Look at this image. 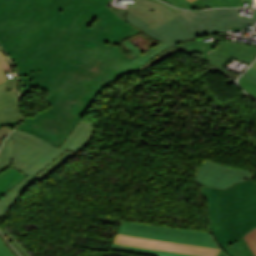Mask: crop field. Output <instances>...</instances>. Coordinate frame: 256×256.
<instances>
[{
	"label": "crop field",
	"mask_w": 256,
	"mask_h": 256,
	"mask_svg": "<svg viewBox=\"0 0 256 256\" xmlns=\"http://www.w3.org/2000/svg\"><path fill=\"white\" fill-rule=\"evenodd\" d=\"M153 1H155V2H157V3H161V4H163V5H165L166 7H168L169 9H171V10H173V11H181V10H176V9H174L173 7H171V6H169V5H167V4H165V3H162V2H160V1H157V0H153Z\"/></svg>",
	"instance_id": "obj_25"
},
{
	"label": "crop field",
	"mask_w": 256,
	"mask_h": 256,
	"mask_svg": "<svg viewBox=\"0 0 256 256\" xmlns=\"http://www.w3.org/2000/svg\"><path fill=\"white\" fill-rule=\"evenodd\" d=\"M3 63H4V54L2 51H0V83L6 81L3 71H2Z\"/></svg>",
	"instance_id": "obj_21"
},
{
	"label": "crop field",
	"mask_w": 256,
	"mask_h": 256,
	"mask_svg": "<svg viewBox=\"0 0 256 256\" xmlns=\"http://www.w3.org/2000/svg\"><path fill=\"white\" fill-rule=\"evenodd\" d=\"M108 2L0 0V46L20 77V98L32 88L51 93L50 108L17 129L60 147L105 87L142 66L118 50L141 31Z\"/></svg>",
	"instance_id": "obj_1"
},
{
	"label": "crop field",
	"mask_w": 256,
	"mask_h": 256,
	"mask_svg": "<svg viewBox=\"0 0 256 256\" xmlns=\"http://www.w3.org/2000/svg\"><path fill=\"white\" fill-rule=\"evenodd\" d=\"M189 1H193V0H189Z\"/></svg>",
	"instance_id": "obj_28"
},
{
	"label": "crop field",
	"mask_w": 256,
	"mask_h": 256,
	"mask_svg": "<svg viewBox=\"0 0 256 256\" xmlns=\"http://www.w3.org/2000/svg\"><path fill=\"white\" fill-rule=\"evenodd\" d=\"M94 135L92 122L80 121L60 148L24 131L15 129L0 150V172L10 166L29 177L0 199V217L7 214L19 195L37 180L43 181L76 151L86 146Z\"/></svg>",
	"instance_id": "obj_2"
},
{
	"label": "crop field",
	"mask_w": 256,
	"mask_h": 256,
	"mask_svg": "<svg viewBox=\"0 0 256 256\" xmlns=\"http://www.w3.org/2000/svg\"><path fill=\"white\" fill-rule=\"evenodd\" d=\"M251 67L256 69V61L254 62V64Z\"/></svg>",
	"instance_id": "obj_27"
},
{
	"label": "crop field",
	"mask_w": 256,
	"mask_h": 256,
	"mask_svg": "<svg viewBox=\"0 0 256 256\" xmlns=\"http://www.w3.org/2000/svg\"><path fill=\"white\" fill-rule=\"evenodd\" d=\"M1 232L5 235V237L9 240V242L14 246V248L19 252L21 256H31L8 229L4 231L1 230Z\"/></svg>",
	"instance_id": "obj_15"
},
{
	"label": "crop field",
	"mask_w": 256,
	"mask_h": 256,
	"mask_svg": "<svg viewBox=\"0 0 256 256\" xmlns=\"http://www.w3.org/2000/svg\"><path fill=\"white\" fill-rule=\"evenodd\" d=\"M211 65V64H210ZM213 66V65H212ZM215 68H217L218 70H220L221 72H223L225 75H227L228 77H230L231 79L235 80L238 75L224 69V68H221V67H217V66H214Z\"/></svg>",
	"instance_id": "obj_23"
},
{
	"label": "crop field",
	"mask_w": 256,
	"mask_h": 256,
	"mask_svg": "<svg viewBox=\"0 0 256 256\" xmlns=\"http://www.w3.org/2000/svg\"><path fill=\"white\" fill-rule=\"evenodd\" d=\"M244 238L246 239L251 250L256 254V229L249 232L246 236H244Z\"/></svg>",
	"instance_id": "obj_18"
},
{
	"label": "crop field",
	"mask_w": 256,
	"mask_h": 256,
	"mask_svg": "<svg viewBox=\"0 0 256 256\" xmlns=\"http://www.w3.org/2000/svg\"><path fill=\"white\" fill-rule=\"evenodd\" d=\"M11 129L12 128H10V127L0 128V143L11 132Z\"/></svg>",
	"instance_id": "obj_22"
},
{
	"label": "crop field",
	"mask_w": 256,
	"mask_h": 256,
	"mask_svg": "<svg viewBox=\"0 0 256 256\" xmlns=\"http://www.w3.org/2000/svg\"><path fill=\"white\" fill-rule=\"evenodd\" d=\"M117 233L219 249L208 233L122 221Z\"/></svg>",
	"instance_id": "obj_5"
},
{
	"label": "crop field",
	"mask_w": 256,
	"mask_h": 256,
	"mask_svg": "<svg viewBox=\"0 0 256 256\" xmlns=\"http://www.w3.org/2000/svg\"><path fill=\"white\" fill-rule=\"evenodd\" d=\"M194 2L197 3L199 6H203L206 8L243 6L242 0H195Z\"/></svg>",
	"instance_id": "obj_14"
},
{
	"label": "crop field",
	"mask_w": 256,
	"mask_h": 256,
	"mask_svg": "<svg viewBox=\"0 0 256 256\" xmlns=\"http://www.w3.org/2000/svg\"><path fill=\"white\" fill-rule=\"evenodd\" d=\"M243 77L249 79L250 81H252L253 83L256 84V70L253 68H249L246 73L243 75Z\"/></svg>",
	"instance_id": "obj_20"
},
{
	"label": "crop field",
	"mask_w": 256,
	"mask_h": 256,
	"mask_svg": "<svg viewBox=\"0 0 256 256\" xmlns=\"http://www.w3.org/2000/svg\"><path fill=\"white\" fill-rule=\"evenodd\" d=\"M18 81L9 80L0 84V123L21 118L17 102Z\"/></svg>",
	"instance_id": "obj_10"
},
{
	"label": "crop field",
	"mask_w": 256,
	"mask_h": 256,
	"mask_svg": "<svg viewBox=\"0 0 256 256\" xmlns=\"http://www.w3.org/2000/svg\"><path fill=\"white\" fill-rule=\"evenodd\" d=\"M26 177L28 176L12 167L2 171L0 173V198Z\"/></svg>",
	"instance_id": "obj_11"
},
{
	"label": "crop field",
	"mask_w": 256,
	"mask_h": 256,
	"mask_svg": "<svg viewBox=\"0 0 256 256\" xmlns=\"http://www.w3.org/2000/svg\"><path fill=\"white\" fill-rule=\"evenodd\" d=\"M110 250L113 251H121V252H130L142 255H149V256H194L176 252H169L163 250H156V249H149L143 247H136V246H128V245H119V244H112Z\"/></svg>",
	"instance_id": "obj_12"
},
{
	"label": "crop field",
	"mask_w": 256,
	"mask_h": 256,
	"mask_svg": "<svg viewBox=\"0 0 256 256\" xmlns=\"http://www.w3.org/2000/svg\"><path fill=\"white\" fill-rule=\"evenodd\" d=\"M239 84L241 87L248 92L250 95L256 98V85L252 82L248 81L247 79L241 77L239 80Z\"/></svg>",
	"instance_id": "obj_16"
},
{
	"label": "crop field",
	"mask_w": 256,
	"mask_h": 256,
	"mask_svg": "<svg viewBox=\"0 0 256 256\" xmlns=\"http://www.w3.org/2000/svg\"><path fill=\"white\" fill-rule=\"evenodd\" d=\"M211 64L223 67L231 58L250 64L256 57V48L246 45L219 41L214 50L208 53Z\"/></svg>",
	"instance_id": "obj_9"
},
{
	"label": "crop field",
	"mask_w": 256,
	"mask_h": 256,
	"mask_svg": "<svg viewBox=\"0 0 256 256\" xmlns=\"http://www.w3.org/2000/svg\"><path fill=\"white\" fill-rule=\"evenodd\" d=\"M128 12L148 23L153 30L180 14L149 0H135V5H128Z\"/></svg>",
	"instance_id": "obj_8"
},
{
	"label": "crop field",
	"mask_w": 256,
	"mask_h": 256,
	"mask_svg": "<svg viewBox=\"0 0 256 256\" xmlns=\"http://www.w3.org/2000/svg\"><path fill=\"white\" fill-rule=\"evenodd\" d=\"M164 1L179 7H184L189 9H201V7H198L192 4L188 0H164Z\"/></svg>",
	"instance_id": "obj_17"
},
{
	"label": "crop field",
	"mask_w": 256,
	"mask_h": 256,
	"mask_svg": "<svg viewBox=\"0 0 256 256\" xmlns=\"http://www.w3.org/2000/svg\"><path fill=\"white\" fill-rule=\"evenodd\" d=\"M250 178H254L250 171L223 167L206 159L196 172L195 182L224 189Z\"/></svg>",
	"instance_id": "obj_6"
},
{
	"label": "crop field",
	"mask_w": 256,
	"mask_h": 256,
	"mask_svg": "<svg viewBox=\"0 0 256 256\" xmlns=\"http://www.w3.org/2000/svg\"><path fill=\"white\" fill-rule=\"evenodd\" d=\"M0 256H15L0 237Z\"/></svg>",
	"instance_id": "obj_19"
},
{
	"label": "crop field",
	"mask_w": 256,
	"mask_h": 256,
	"mask_svg": "<svg viewBox=\"0 0 256 256\" xmlns=\"http://www.w3.org/2000/svg\"><path fill=\"white\" fill-rule=\"evenodd\" d=\"M211 229L229 256H255L243 238L256 228V178L225 190L203 185Z\"/></svg>",
	"instance_id": "obj_3"
},
{
	"label": "crop field",
	"mask_w": 256,
	"mask_h": 256,
	"mask_svg": "<svg viewBox=\"0 0 256 256\" xmlns=\"http://www.w3.org/2000/svg\"><path fill=\"white\" fill-rule=\"evenodd\" d=\"M217 256H228L222 249Z\"/></svg>",
	"instance_id": "obj_26"
},
{
	"label": "crop field",
	"mask_w": 256,
	"mask_h": 256,
	"mask_svg": "<svg viewBox=\"0 0 256 256\" xmlns=\"http://www.w3.org/2000/svg\"><path fill=\"white\" fill-rule=\"evenodd\" d=\"M239 9L209 10L203 12L182 11L180 15L152 31L146 23L127 12L126 22L136 26L154 39L169 45L182 40L219 31L227 32L230 25L240 27L241 21L256 22V9L252 18L238 15Z\"/></svg>",
	"instance_id": "obj_4"
},
{
	"label": "crop field",
	"mask_w": 256,
	"mask_h": 256,
	"mask_svg": "<svg viewBox=\"0 0 256 256\" xmlns=\"http://www.w3.org/2000/svg\"><path fill=\"white\" fill-rule=\"evenodd\" d=\"M123 44H125L133 52V54L131 55V57L134 58L132 60V62H137V63H141V64H144L145 62H147L148 60H150L151 58H153L154 56H156L157 54H159L160 52H162L164 49H166L168 47V45L162 43L158 46L151 48L150 50H148L142 54L129 41H124Z\"/></svg>",
	"instance_id": "obj_13"
},
{
	"label": "crop field",
	"mask_w": 256,
	"mask_h": 256,
	"mask_svg": "<svg viewBox=\"0 0 256 256\" xmlns=\"http://www.w3.org/2000/svg\"><path fill=\"white\" fill-rule=\"evenodd\" d=\"M113 243L143 246V247L176 251V252H182V253H188V254H194V255H200V256H216L218 252V250L216 249L155 241V240L125 236L121 234H117L115 236Z\"/></svg>",
	"instance_id": "obj_7"
},
{
	"label": "crop field",
	"mask_w": 256,
	"mask_h": 256,
	"mask_svg": "<svg viewBox=\"0 0 256 256\" xmlns=\"http://www.w3.org/2000/svg\"><path fill=\"white\" fill-rule=\"evenodd\" d=\"M18 122H19V121H17V122H11V123H5V124H0V127H3V126H10V127H13V128H14Z\"/></svg>",
	"instance_id": "obj_24"
}]
</instances>
